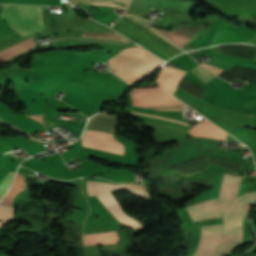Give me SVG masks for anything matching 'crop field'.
Returning a JSON list of instances; mask_svg holds the SVG:
<instances>
[{
	"instance_id": "8a807250",
	"label": "crop field",
	"mask_w": 256,
	"mask_h": 256,
	"mask_svg": "<svg viewBox=\"0 0 256 256\" xmlns=\"http://www.w3.org/2000/svg\"><path fill=\"white\" fill-rule=\"evenodd\" d=\"M111 70L133 84L152 73L163 61L140 47H129L108 60Z\"/></svg>"
},
{
	"instance_id": "ac0d7876",
	"label": "crop field",
	"mask_w": 256,
	"mask_h": 256,
	"mask_svg": "<svg viewBox=\"0 0 256 256\" xmlns=\"http://www.w3.org/2000/svg\"><path fill=\"white\" fill-rule=\"evenodd\" d=\"M240 176L224 173L219 199L186 207L193 221L223 217L232 205L239 188Z\"/></svg>"
},
{
	"instance_id": "34b2d1b8",
	"label": "crop field",
	"mask_w": 256,
	"mask_h": 256,
	"mask_svg": "<svg viewBox=\"0 0 256 256\" xmlns=\"http://www.w3.org/2000/svg\"><path fill=\"white\" fill-rule=\"evenodd\" d=\"M256 199V192L244 194L237 198L234 206L224 217L223 241L215 256H221L231 251L242 242V220Z\"/></svg>"
},
{
	"instance_id": "412701ff",
	"label": "crop field",
	"mask_w": 256,
	"mask_h": 256,
	"mask_svg": "<svg viewBox=\"0 0 256 256\" xmlns=\"http://www.w3.org/2000/svg\"><path fill=\"white\" fill-rule=\"evenodd\" d=\"M1 18L23 37L47 28L39 7L35 6L4 5Z\"/></svg>"
},
{
	"instance_id": "f4fd0767",
	"label": "crop field",
	"mask_w": 256,
	"mask_h": 256,
	"mask_svg": "<svg viewBox=\"0 0 256 256\" xmlns=\"http://www.w3.org/2000/svg\"><path fill=\"white\" fill-rule=\"evenodd\" d=\"M148 92H165V91L163 89H161L160 87L142 88V89L133 88V89L128 91V94H131V93H148ZM132 97H133V99L172 98L167 93L132 94ZM167 101H176V100L175 99L133 100V103L167 102ZM182 104H157V105H133V106H159V105H182ZM185 106H161V107H144V108H165V107H185ZM166 109H186V108H166ZM130 112H132V111H130ZM132 113L146 115V116H150V117H155V118H159V119H164V120L173 121V122L188 125L185 122L176 121V120H172V119H167V118H163V117H159V116H155V115L143 114V113H138V112H132Z\"/></svg>"
},
{
	"instance_id": "dd49c442",
	"label": "crop field",
	"mask_w": 256,
	"mask_h": 256,
	"mask_svg": "<svg viewBox=\"0 0 256 256\" xmlns=\"http://www.w3.org/2000/svg\"><path fill=\"white\" fill-rule=\"evenodd\" d=\"M82 145L117 154H123L124 149L113 135L91 130H86L82 138Z\"/></svg>"
},
{
	"instance_id": "e52e79f7",
	"label": "crop field",
	"mask_w": 256,
	"mask_h": 256,
	"mask_svg": "<svg viewBox=\"0 0 256 256\" xmlns=\"http://www.w3.org/2000/svg\"><path fill=\"white\" fill-rule=\"evenodd\" d=\"M181 70H177V69H173V68H170V67H166L164 66L161 73L159 74L156 82L161 86L163 87L164 89L166 90H169L175 76L180 73ZM185 72V71H184ZM184 72H181L180 74H178L169 90L170 93H174L175 89H176V85H177V82L180 80V78L185 74ZM176 95L188 100L189 102L199 106V107H203V105L205 103L179 91L176 89L175 93Z\"/></svg>"
},
{
	"instance_id": "d8731c3e",
	"label": "crop field",
	"mask_w": 256,
	"mask_h": 256,
	"mask_svg": "<svg viewBox=\"0 0 256 256\" xmlns=\"http://www.w3.org/2000/svg\"><path fill=\"white\" fill-rule=\"evenodd\" d=\"M222 225L203 226L200 245L194 256H213L221 241Z\"/></svg>"
},
{
	"instance_id": "5a996713",
	"label": "crop field",
	"mask_w": 256,
	"mask_h": 256,
	"mask_svg": "<svg viewBox=\"0 0 256 256\" xmlns=\"http://www.w3.org/2000/svg\"><path fill=\"white\" fill-rule=\"evenodd\" d=\"M123 186H125L128 190H130L132 193L136 195L143 196L146 198L150 197L147 190L142 185H133V184L114 185V184L87 181V191L89 196L106 193L113 189L120 188Z\"/></svg>"
},
{
	"instance_id": "3316defc",
	"label": "crop field",
	"mask_w": 256,
	"mask_h": 256,
	"mask_svg": "<svg viewBox=\"0 0 256 256\" xmlns=\"http://www.w3.org/2000/svg\"><path fill=\"white\" fill-rule=\"evenodd\" d=\"M99 200L105 205V207L112 213V215L120 221L122 224L127 225L129 227L138 229L143 226L140 225L136 220L127 216L120 208L119 204L112 197L111 193L98 195Z\"/></svg>"
},
{
	"instance_id": "28ad6ade",
	"label": "crop field",
	"mask_w": 256,
	"mask_h": 256,
	"mask_svg": "<svg viewBox=\"0 0 256 256\" xmlns=\"http://www.w3.org/2000/svg\"><path fill=\"white\" fill-rule=\"evenodd\" d=\"M203 27L195 25H183L169 32L157 29L176 45L183 47L191 38L199 32Z\"/></svg>"
},
{
	"instance_id": "d1516ede",
	"label": "crop field",
	"mask_w": 256,
	"mask_h": 256,
	"mask_svg": "<svg viewBox=\"0 0 256 256\" xmlns=\"http://www.w3.org/2000/svg\"><path fill=\"white\" fill-rule=\"evenodd\" d=\"M187 132L194 136L208 137L213 139L225 140L227 133L215 126L209 121L198 122L195 126L189 129Z\"/></svg>"
},
{
	"instance_id": "22f410ed",
	"label": "crop field",
	"mask_w": 256,
	"mask_h": 256,
	"mask_svg": "<svg viewBox=\"0 0 256 256\" xmlns=\"http://www.w3.org/2000/svg\"><path fill=\"white\" fill-rule=\"evenodd\" d=\"M254 36L256 32H216L210 46L222 43H246Z\"/></svg>"
},
{
	"instance_id": "cbeb9de0",
	"label": "crop field",
	"mask_w": 256,
	"mask_h": 256,
	"mask_svg": "<svg viewBox=\"0 0 256 256\" xmlns=\"http://www.w3.org/2000/svg\"><path fill=\"white\" fill-rule=\"evenodd\" d=\"M116 125L117 118L115 115H110L102 112L91 117L86 128L112 133Z\"/></svg>"
},
{
	"instance_id": "5142ce71",
	"label": "crop field",
	"mask_w": 256,
	"mask_h": 256,
	"mask_svg": "<svg viewBox=\"0 0 256 256\" xmlns=\"http://www.w3.org/2000/svg\"><path fill=\"white\" fill-rule=\"evenodd\" d=\"M82 37L108 40V41H117V42H130L127 39H125L123 36L119 35L118 33L112 30L101 31V32L83 31Z\"/></svg>"
},
{
	"instance_id": "d9b57169",
	"label": "crop field",
	"mask_w": 256,
	"mask_h": 256,
	"mask_svg": "<svg viewBox=\"0 0 256 256\" xmlns=\"http://www.w3.org/2000/svg\"><path fill=\"white\" fill-rule=\"evenodd\" d=\"M32 44H34L33 41H32V37L28 38V39L25 40V41L19 42V43L13 45V46H11V47H9V48H7V49L1 51V52H0V60L3 59V58H5L6 56H8V55H10V54H12V53H14V52H17V51H19V50H21V49H23V48H26V47H28V46H30V45H32ZM32 47H35V44L32 45V46H30V47H28V48H26V49H24V50H21V51L15 53V54H13V55H11V56L5 58V59H3L2 61H5V60H7V59H9V58H11V57H13V56H15V55H17V54L23 52V51H26V50H28V49H30V48H32Z\"/></svg>"
},
{
	"instance_id": "733c2abd",
	"label": "crop field",
	"mask_w": 256,
	"mask_h": 256,
	"mask_svg": "<svg viewBox=\"0 0 256 256\" xmlns=\"http://www.w3.org/2000/svg\"><path fill=\"white\" fill-rule=\"evenodd\" d=\"M88 5H107L127 9L131 0H74Z\"/></svg>"
},
{
	"instance_id": "4a817a6b",
	"label": "crop field",
	"mask_w": 256,
	"mask_h": 256,
	"mask_svg": "<svg viewBox=\"0 0 256 256\" xmlns=\"http://www.w3.org/2000/svg\"><path fill=\"white\" fill-rule=\"evenodd\" d=\"M195 76H197L205 85L209 83L213 78L216 76L212 75L211 73L203 70L200 66L194 67L190 70Z\"/></svg>"
},
{
	"instance_id": "bc2a9ffb",
	"label": "crop field",
	"mask_w": 256,
	"mask_h": 256,
	"mask_svg": "<svg viewBox=\"0 0 256 256\" xmlns=\"http://www.w3.org/2000/svg\"><path fill=\"white\" fill-rule=\"evenodd\" d=\"M14 210L15 207L0 204V220L3 222L0 223V226L4 225L12 218Z\"/></svg>"
},
{
	"instance_id": "214f88e0",
	"label": "crop field",
	"mask_w": 256,
	"mask_h": 256,
	"mask_svg": "<svg viewBox=\"0 0 256 256\" xmlns=\"http://www.w3.org/2000/svg\"><path fill=\"white\" fill-rule=\"evenodd\" d=\"M14 172H9L7 176L0 183V195L3 196L11 182L12 176Z\"/></svg>"
},
{
	"instance_id": "92a150f3",
	"label": "crop field",
	"mask_w": 256,
	"mask_h": 256,
	"mask_svg": "<svg viewBox=\"0 0 256 256\" xmlns=\"http://www.w3.org/2000/svg\"><path fill=\"white\" fill-rule=\"evenodd\" d=\"M124 16L128 17L129 19L135 21L136 23L140 24L143 27H147L150 24V20L139 17L137 15H133V14H125Z\"/></svg>"
},
{
	"instance_id": "dafd665d",
	"label": "crop field",
	"mask_w": 256,
	"mask_h": 256,
	"mask_svg": "<svg viewBox=\"0 0 256 256\" xmlns=\"http://www.w3.org/2000/svg\"><path fill=\"white\" fill-rule=\"evenodd\" d=\"M201 66L204 67L205 69H207L208 71L216 74V75H218L220 72L223 71V70L218 69V68H216L214 66L206 65V64H203V63H201Z\"/></svg>"
},
{
	"instance_id": "00972430",
	"label": "crop field",
	"mask_w": 256,
	"mask_h": 256,
	"mask_svg": "<svg viewBox=\"0 0 256 256\" xmlns=\"http://www.w3.org/2000/svg\"><path fill=\"white\" fill-rule=\"evenodd\" d=\"M147 29H149L150 31H152L153 33H155L156 35H158L159 37H161L162 39L166 40L167 42H169L167 39H165L162 35H160L159 33H157L156 31H154L153 29H151L150 27H148ZM170 43V42H169ZM172 44V43H170ZM173 45V44H172ZM174 46V45H173ZM176 47V46H175ZM177 48V47H176ZM179 49V48H178ZM180 50V49H179ZM183 52V51H182Z\"/></svg>"
},
{
	"instance_id": "a9b5d70f",
	"label": "crop field",
	"mask_w": 256,
	"mask_h": 256,
	"mask_svg": "<svg viewBox=\"0 0 256 256\" xmlns=\"http://www.w3.org/2000/svg\"><path fill=\"white\" fill-rule=\"evenodd\" d=\"M40 8H41L42 13H43V15H44V12H45V10H46V7H40Z\"/></svg>"
},
{
	"instance_id": "4177f3b9",
	"label": "crop field",
	"mask_w": 256,
	"mask_h": 256,
	"mask_svg": "<svg viewBox=\"0 0 256 256\" xmlns=\"http://www.w3.org/2000/svg\"><path fill=\"white\" fill-rule=\"evenodd\" d=\"M248 43L256 44V38H255V39H253V40H251V41H250V42H248Z\"/></svg>"
}]
</instances>
